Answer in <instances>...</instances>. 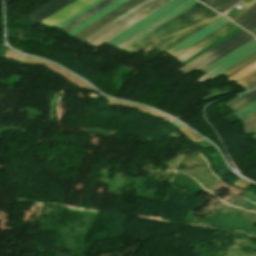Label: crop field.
Returning <instances> with one entry per match:
<instances>
[{
	"instance_id": "f4fd0767",
	"label": "crop field",
	"mask_w": 256,
	"mask_h": 256,
	"mask_svg": "<svg viewBox=\"0 0 256 256\" xmlns=\"http://www.w3.org/2000/svg\"><path fill=\"white\" fill-rule=\"evenodd\" d=\"M142 1L143 0H129V1H127L126 3L122 4L118 8L114 9L110 13L106 14L102 18L95 21L94 23L90 24L89 26H87L86 28H84L83 30L78 32L76 35H74L73 37L76 38L79 41L82 40L87 35H89V34L93 33L94 31L98 30L102 26L106 25L110 21H112L115 18H117L118 16L122 15L123 13H125L126 11H128L129 9L136 6L137 4H139Z\"/></svg>"
},
{
	"instance_id": "d8731c3e",
	"label": "crop field",
	"mask_w": 256,
	"mask_h": 256,
	"mask_svg": "<svg viewBox=\"0 0 256 256\" xmlns=\"http://www.w3.org/2000/svg\"><path fill=\"white\" fill-rule=\"evenodd\" d=\"M184 1H186V0H173V1L169 2L165 6L158 9L153 14H151V15L149 14L150 16L138 21L137 23H135L131 27L127 28L126 30H124L123 32H121L120 34H118L117 36H115L114 38L109 40L108 42L115 45L116 43H118L119 41H121L125 37L129 36L130 34L135 32L136 30H138L142 26L148 24L149 22L153 21L154 19L158 18L162 14L166 13L167 11L171 10L172 8L176 7L177 5L181 4Z\"/></svg>"
},
{
	"instance_id": "92a150f3",
	"label": "crop field",
	"mask_w": 256,
	"mask_h": 256,
	"mask_svg": "<svg viewBox=\"0 0 256 256\" xmlns=\"http://www.w3.org/2000/svg\"><path fill=\"white\" fill-rule=\"evenodd\" d=\"M255 119H256V112L251 114L250 116L242 119V121H243L244 124H246V123L251 122V121H253Z\"/></svg>"
},
{
	"instance_id": "412701ff",
	"label": "crop field",
	"mask_w": 256,
	"mask_h": 256,
	"mask_svg": "<svg viewBox=\"0 0 256 256\" xmlns=\"http://www.w3.org/2000/svg\"><path fill=\"white\" fill-rule=\"evenodd\" d=\"M197 1L195 0H187L186 2L182 3L181 5L177 6L176 8L172 9L171 11L167 12L166 14L162 15L158 19L154 20L153 22L149 23L148 25L144 26L143 28L139 29L114 47L122 49L134 40L138 39L148 31L152 30L153 28L157 27L158 25L164 23L165 21L169 20L170 18L174 17L178 13L182 12L186 8L190 7Z\"/></svg>"
},
{
	"instance_id": "733c2abd",
	"label": "crop field",
	"mask_w": 256,
	"mask_h": 256,
	"mask_svg": "<svg viewBox=\"0 0 256 256\" xmlns=\"http://www.w3.org/2000/svg\"><path fill=\"white\" fill-rule=\"evenodd\" d=\"M237 82L240 83L247 91L256 87V71Z\"/></svg>"
},
{
	"instance_id": "8a807250",
	"label": "crop field",
	"mask_w": 256,
	"mask_h": 256,
	"mask_svg": "<svg viewBox=\"0 0 256 256\" xmlns=\"http://www.w3.org/2000/svg\"><path fill=\"white\" fill-rule=\"evenodd\" d=\"M220 17L222 16L198 2L123 50L138 53L152 44L166 51Z\"/></svg>"
},
{
	"instance_id": "34b2d1b8",
	"label": "crop field",
	"mask_w": 256,
	"mask_h": 256,
	"mask_svg": "<svg viewBox=\"0 0 256 256\" xmlns=\"http://www.w3.org/2000/svg\"><path fill=\"white\" fill-rule=\"evenodd\" d=\"M254 51H256L255 38L243 44L242 46L236 48L232 52L228 53L224 57L220 58L213 64L203 69L207 73L196 80L203 84L204 82L208 81L211 77L236 64L237 62H239L249 54L253 53Z\"/></svg>"
},
{
	"instance_id": "214f88e0",
	"label": "crop field",
	"mask_w": 256,
	"mask_h": 256,
	"mask_svg": "<svg viewBox=\"0 0 256 256\" xmlns=\"http://www.w3.org/2000/svg\"><path fill=\"white\" fill-rule=\"evenodd\" d=\"M102 0H96L95 2H93L92 4H90L89 6L85 7L84 9H82L81 11H79L78 13H76L75 15H73L72 17H70L69 19L65 20L64 22H62L61 24H59L57 27H62L65 24H67L68 22L72 21L73 19H75L76 17L80 16L81 14H83L84 12H86L87 10L91 9L92 7H94L95 5H97L99 2H101Z\"/></svg>"
},
{
	"instance_id": "d9b57169",
	"label": "crop field",
	"mask_w": 256,
	"mask_h": 256,
	"mask_svg": "<svg viewBox=\"0 0 256 256\" xmlns=\"http://www.w3.org/2000/svg\"><path fill=\"white\" fill-rule=\"evenodd\" d=\"M199 1V0H198ZM204 4L212 7L216 11L222 13L232 7L234 4L240 0H200Z\"/></svg>"
},
{
	"instance_id": "4a817a6b",
	"label": "crop field",
	"mask_w": 256,
	"mask_h": 256,
	"mask_svg": "<svg viewBox=\"0 0 256 256\" xmlns=\"http://www.w3.org/2000/svg\"><path fill=\"white\" fill-rule=\"evenodd\" d=\"M256 97V90L250 92L249 94L245 95L244 97L238 99L237 101L233 102L232 104L228 105L226 108L230 110H234L241 106L242 104L246 103L247 101L251 100L252 98Z\"/></svg>"
},
{
	"instance_id": "5a996713",
	"label": "crop field",
	"mask_w": 256,
	"mask_h": 256,
	"mask_svg": "<svg viewBox=\"0 0 256 256\" xmlns=\"http://www.w3.org/2000/svg\"><path fill=\"white\" fill-rule=\"evenodd\" d=\"M236 27H238V26L234 25L231 22L226 24L225 26L218 29L217 31L210 34L209 36L202 39L201 41L197 42L196 44H194L193 46H191L190 48H188L187 50H185L183 53H181L180 55H178L175 58H177L181 62L185 61L186 59H188L189 57H191L192 55H194L195 53H197L198 51H200L201 49H203L210 43L216 41L217 39L221 38L228 32L232 31Z\"/></svg>"
},
{
	"instance_id": "00972430",
	"label": "crop field",
	"mask_w": 256,
	"mask_h": 256,
	"mask_svg": "<svg viewBox=\"0 0 256 256\" xmlns=\"http://www.w3.org/2000/svg\"><path fill=\"white\" fill-rule=\"evenodd\" d=\"M255 99H256V98L252 99L251 101L247 102L246 104L252 102V101L255 100ZM246 104L242 105L241 107L245 106ZM241 107H239L238 109H240ZM238 109H236V110H238ZM236 110H235V111H236ZM233 112H234V111H233Z\"/></svg>"
},
{
	"instance_id": "d1516ede",
	"label": "crop field",
	"mask_w": 256,
	"mask_h": 256,
	"mask_svg": "<svg viewBox=\"0 0 256 256\" xmlns=\"http://www.w3.org/2000/svg\"><path fill=\"white\" fill-rule=\"evenodd\" d=\"M113 1H115V0H104V1H102L97 6H95L94 8H92L88 12L84 13L83 15H81L80 17H78L77 19L73 20L72 22H70L69 24H67L66 26L62 27L59 30H61V31L65 32V33L68 32L69 30L73 29L74 27H76L77 25H79L80 23H82L83 21L88 19L90 16H92L93 14H95L96 12H98L99 10L104 8L105 6H107L110 3H112Z\"/></svg>"
},
{
	"instance_id": "bc2a9ffb",
	"label": "crop field",
	"mask_w": 256,
	"mask_h": 256,
	"mask_svg": "<svg viewBox=\"0 0 256 256\" xmlns=\"http://www.w3.org/2000/svg\"><path fill=\"white\" fill-rule=\"evenodd\" d=\"M255 111H256V100L234 114L242 119Z\"/></svg>"
},
{
	"instance_id": "a9b5d70f",
	"label": "crop field",
	"mask_w": 256,
	"mask_h": 256,
	"mask_svg": "<svg viewBox=\"0 0 256 256\" xmlns=\"http://www.w3.org/2000/svg\"><path fill=\"white\" fill-rule=\"evenodd\" d=\"M252 34H254L256 36V31L254 33H252Z\"/></svg>"
},
{
	"instance_id": "4177f3b9",
	"label": "crop field",
	"mask_w": 256,
	"mask_h": 256,
	"mask_svg": "<svg viewBox=\"0 0 256 256\" xmlns=\"http://www.w3.org/2000/svg\"><path fill=\"white\" fill-rule=\"evenodd\" d=\"M255 30H256V28L254 30H252L251 33L254 32Z\"/></svg>"
},
{
	"instance_id": "dd49c442",
	"label": "crop field",
	"mask_w": 256,
	"mask_h": 256,
	"mask_svg": "<svg viewBox=\"0 0 256 256\" xmlns=\"http://www.w3.org/2000/svg\"><path fill=\"white\" fill-rule=\"evenodd\" d=\"M169 1H171V0H158V1H156L155 3H153L152 5L147 7L146 9L142 10L141 12H139L138 14H136L135 16L130 18L129 20L125 21L124 23H122L118 27L112 29L111 31H109L108 33L103 35L102 37L98 38L97 40L92 42L90 45H92L96 48L99 47L101 44H103L108 39H110L113 36H115L116 34L120 33L121 31H123L124 29H126L130 25L134 24L138 20H140V19L148 16L149 14L153 13L155 10H157L161 6L165 5Z\"/></svg>"
},
{
	"instance_id": "5142ce71",
	"label": "crop field",
	"mask_w": 256,
	"mask_h": 256,
	"mask_svg": "<svg viewBox=\"0 0 256 256\" xmlns=\"http://www.w3.org/2000/svg\"><path fill=\"white\" fill-rule=\"evenodd\" d=\"M254 62H256V52H254L253 54L249 55L248 57H246L245 59H243L242 61H240L236 65L232 66L231 68L227 69L226 71L222 72L221 74H227L228 77H229V76H231V75H233V74L243 70L244 68H246L249 65L253 64ZM221 74H219V75H221Z\"/></svg>"
},
{
	"instance_id": "28ad6ade",
	"label": "crop field",
	"mask_w": 256,
	"mask_h": 256,
	"mask_svg": "<svg viewBox=\"0 0 256 256\" xmlns=\"http://www.w3.org/2000/svg\"><path fill=\"white\" fill-rule=\"evenodd\" d=\"M75 0H52L49 3L41 6L40 8L34 10L33 12L29 13L28 16L32 19L35 23L41 22L50 14L58 11L59 9L71 4ZM51 16V15H50Z\"/></svg>"
},
{
	"instance_id": "3316defc",
	"label": "crop field",
	"mask_w": 256,
	"mask_h": 256,
	"mask_svg": "<svg viewBox=\"0 0 256 256\" xmlns=\"http://www.w3.org/2000/svg\"><path fill=\"white\" fill-rule=\"evenodd\" d=\"M155 1L156 0H145V1H143L142 3H140L136 7L132 8L131 10H129L128 12L123 14L122 16L118 17L117 19H115L114 21L109 23L108 25L104 26L103 28H101L97 32H95V33L91 34L90 36H88L87 38H85L82 42L85 41L88 44L91 43L96 38L100 37L104 33H106L109 30H111L112 28L118 26L119 24H121L122 22H124L125 20H127L128 18H130L134 14L138 13L139 11H141L142 9H144L147 6H149L150 4H152Z\"/></svg>"
},
{
	"instance_id": "22f410ed",
	"label": "crop field",
	"mask_w": 256,
	"mask_h": 256,
	"mask_svg": "<svg viewBox=\"0 0 256 256\" xmlns=\"http://www.w3.org/2000/svg\"><path fill=\"white\" fill-rule=\"evenodd\" d=\"M237 24L251 31L256 27V4L234 20Z\"/></svg>"
},
{
	"instance_id": "e52e79f7",
	"label": "crop field",
	"mask_w": 256,
	"mask_h": 256,
	"mask_svg": "<svg viewBox=\"0 0 256 256\" xmlns=\"http://www.w3.org/2000/svg\"><path fill=\"white\" fill-rule=\"evenodd\" d=\"M228 22H230V21H228L222 17L166 52H168L169 54H171L172 56L175 57L178 54H180L182 51H184L185 49H187L188 47H190L191 45L196 43L197 41L206 37L207 35L214 32L215 30L222 27L223 25H225Z\"/></svg>"
},
{
	"instance_id": "730fd06b",
	"label": "crop field",
	"mask_w": 256,
	"mask_h": 256,
	"mask_svg": "<svg viewBox=\"0 0 256 256\" xmlns=\"http://www.w3.org/2000/svg\"><path fill=\"white\" fill-rule=\"evenodd\" d=\"M253 137H254V139H256V135H254Z\"/></svg>"
},
{
	"instance_id": "cbeb9de0",
	"label": "crop field",
	"mask_w": 256,
	"mask_h": 256,
	"mask_svg": "<svg viewBox=\"0 0 256 256\" xmlns=\"http://www.w3.org/2000/svg\"><path fill=\"white\" fill-rule=\"evenodd\" d=\"M127 0H117L115 2H113L112 4H110L109 6H107L106 8H104L103 10H101L100 12H98L97 14H95L94 16H92L91 18H89L88 20H86L85 22H83L82 24H80L79 26H77L76 28H74L73 30H71L70 32L66 33L68 35H70L71 37L76 34L79 30H81L82 28L86 27L87 25H89L90 23L94 22L95 20H97L98 18L102 17L103 15H105L106 13L110 12L111 10H113L114 8L118 7L119 5H121L122 3H124ZM83 30V29H82ZM80 32V31H79Z\"/></svg>"
},
{
	"instance_id": "dafd665d",
	"label": "crop field",
	"mask_w": 256,
	"mask_h": 256,
	"mask_svg": "<svg viewBox=\"0 0 256 256\" xmlns=\"http://www.w3.org/2000/svg\"><path fill=\"white\" fill-rule=\"evenodd\" d=\"M253 128H256V120L251 122V123H248L246 125H244V131H248L250 129H253Z\"/></svg>"
},
{
	"instance_id": "ac0d7876",
	"label": "crop field",
	"mask_w": 256,
	"mask_h": 256,
	"mask_svg": "<svg viewBox=\"0 0 256 256\" xmlns=\"http://www.w3.org/2000/svg\"><path fill=\"white\" fill-rule=\"evenodd\" d=\"M252 38L254 37L242 30L237 34L233 35L232 37L228 38L227 40L223 41L222 43L218 44L217 46L213 47L209 51L205 52L204 54L200 55L196 59L192 60L188 64L180 67L176 71L184 75L193 69L201 71L209 64L213 63L223 55L227 54L231 50L235 49L236 47L242 45L243 43L247 42Z\"/></svg>"
}]
</instances>
